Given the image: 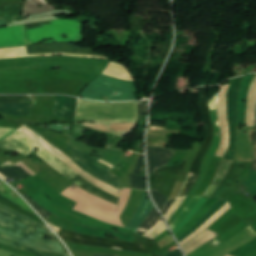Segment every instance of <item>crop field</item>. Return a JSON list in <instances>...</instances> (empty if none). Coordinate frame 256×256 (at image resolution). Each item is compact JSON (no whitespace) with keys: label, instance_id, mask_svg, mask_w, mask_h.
I'll list each match as a JSON object with an SVG mask.
<instances>
[{"label":"crop field","instance_id":"1","mask_svg":"<svg viewBox=\"0 0 256 256\" xmlns=\"http://www.w3.org/2000/svg\"><path fill=\"white\" fill-rule=\"evenodd\" d=\"M34 146H37L40 148V150L36 153L39 157H41L44 161L48 162L50 165H52L55 169H57L59 172H61L70 180L76 177L77 175H79L74 170H72L69 166L63 163L61 160L56 158L50 152H48L47 150L39 146L37 143L29 139L27 136H25L23 133H21L18 130L14 132L12 135H10L9 137L0 141V147L4 149L17 150L24 156L31 153ZM71 181H73L75 184H77L79 187L83 188L87 192L117 204L116 197L94 186L90 182L83 179L80 175Z\"/></svg>","mask_w":256,"mask_h":256},{"label":"crop field","instance_id":"2","mask_svg":"<svg viewBox=\"0 0 256 256\" xmlns=\"http://www.w3.org/2000/svg\"><path fill=\"white\" fill-rule=\"evenodd\" d=\"M130 190L123 189L121 191L119 206L93 196L74 184L63 192L62 195L78 202L74 208L75 210L107 223L124 227L119 217L125 208Z\"/></svg>","mask_w":256,"mask_h":256},{"label":"crop field","instance_id":"3","mask_svg":"<svg viewBox=\"0 0 256 256\" xmlns=\"http://www.w3.org/2000/svg\"><path fill=\"white\" fill-rule=\"evenodd\" d=\"M242 77L232 79L230 81V87L228 89L227 93V118L229 123V130H230V146L225 153L219 168L216 172L215 178L213 183L221 184L222 180L224 179L225 175L227 174L236 152V95L239 87V83L241 81ZM211 184V186L208 188V190L203 195L204 197L210 198V196L213 194L215 189L218 187L216 184Z\"/></svg>","mask_w":256,"mask_h":256},{"label":"crop field","instance_id":"4","mask_svg":"<svg viewBox=\"0 0 256 256\" xmlns=\"http://www.w3.org/2000/svg\"><path fill=\"white\" fill-rule=\"evenodd\" d=\"M137 104L98 103L79 99L76 118L137 120Z\"/></svg>","mask_w":256,"mask_h":256},{"label":"crop field","instance_id":"5","mask_svg":"<svg viewBox=\"0 0 256 256\" xmlns=\"http://www.w3.org/2000/svg\"><path fill=\"white\" fill-rule=\"evenodd\" d=\"M105 83L118 86L117 89L107 86ZM115 91L121 92L119 95L112 96L108 101H129L136 100L134 83L122 81L101 75L92 81L88 87L80 94L81 97L104 100L102 96L110 97Z\"/></svg>","mask_w":256,"mask_h":256},{"label":"crop field","instance_id":"6","mask_svg":"<svg viewBox=\"0 0 256 256\" xmlns=\"http://www.w3.org/2000/svg\"><path fill=\"white\" fill-rule=\"evenodd\" d=\"M61 33H67L68 39H63ZM26 34L30 44L51 38L56 40L45 41V43L77 41L82 34V23L76 20H54L51 21V25L43 26L40 29L28 30Z\"/></svg>","mask_w":256,"mask_h":256},{"label":"crop field","instance_id":"7","mask_svg":"<svg viewBox=\"0 0 256 256\" xmlns=\"http://www.w3.org/2000/svg\"><path fill=\"white\" fill-rule=\"evenodd\" d=\"M26 49H27L28 54L63 52V53L85 54V55H100V56L106 57V55H104V54L94 53L93 49H82V48L71 46L68 43L27 46ZM26 49H25V47L11 48V49H0V59L1 58H11V57H25V56H27ZM54 54L104 59V57H99V56H85V55L62 54V53L31 54L28 56H48V55H54Z\"/></svg>","mask_w":256,"mask_h":256},{"label":"crop field","instance_id":"8","mask_svg":"<svg viewBox=\"0 0 256 256\" xmlns=\"http://www.w3.org/2000/svg\"><path fill=\"white\" fill-rule=\"evenodd\" d=\"M255 237L256 232L249 226L227 242L223 243L216 237L187 256H224L249 243Z\"/></svg>","mask_w":256,"mask_h":256},{"label":"crop field","instance_id":"9","mask_svg":"<svg viewBox=\"0 0 256 256\" xmlns=\"http://www.w3.org/2000/svg\"><path fill=\"white\" fill-rule=\"evenodd\" d=\"M64 241L90 245L96 247H104V248H112V249H120V250H129V251H137V252H145L148 251L143 247L142 244L124 242L119 240L94 237L88 235H81L66 231L64 229L58 228L56 232Z\"/></svg>","mask_w":256,"mask_h":256},{"label":"crop field","instance_id":"10","mask_svg":"<svg viewBox=\"0 0 256 256\" xmlns=\"http://www.w3.org/2000/svg\"><path fill=\"white\" fill-rule=\"evenodd\" d=\"M204 94V97H201V95ZM200 105L202 107V111H203V115L205 118V121L207 123V133H206V140H205V144L202 147V149L199 151V153L196 155L191 170H190V174H192L191 180L183 194V196L188 195L189 191L191 190L192 186L194 185V183L196 182L198 176H199V169H200V165L203 159V156L205 154V152L207 151V149L209 148L212 139H213V125L210 119V114H209V108H208V102H207V88L206 87H201L200 88ZM188 176V179L182 189V191L180 192L179 196L182 195L189 179H190V175Z\"/></svg>","mask_w":256,"mask_h":256},{"label":"crop field","instance_id":"11","mask_svg":"<svg viewBox=\"0 0 256 256\" xmlns=\"http://www.w3.org/2000/svg\"><path fill=\"white\" fill-rule=\"evenodd\" d=\"M21 132H23L25 135H27L29 138L33 139L37 143H39L41 146H43L45 149L50 151L52 154L57 156L59 159H61L63 162H65L67 165H69L71 168H73L76 172H78L81 176L86 178L88 181L93 183L94 185L102 188L103 190L115 195L118 197L119 190L100 181L99 179L93 177L92 175L86 173L81 168H79L76 164H74L68 156H66L64 153H62L60 150L52 146L50 143H48L46 140H44L42 137H40L38 134H36L33 130L28 128L26 125L23 124L21 128H19Z\"/></svg>","mask_w":256,"mask_h":256},{"label":"crop field","instance_id":"12","mask_svg":"<svg viewBox=\"0 0 256 256\" xmlns=\"http://www.w3.org/2000/svg\"><path fill=\"white\" fill-rule=\"evenodd\" d=\"M67 147H68V149L75 152L70 158L74 159L77 163H79L88 172H90L91 174L101 178L102 180L120 188L121 179L109 173L114 166L108 164L107 162H105L101 159L99 160L95 157H92L83 152H80L68 145H67ZM98 160L112 168L106 166L105 164L99 162Z\"/></svg>","mask_w":256,"mask_h":256},{"label":"crop field","instance_id":"13","mask_svg":"<svg viewBox=\"0 0 256 256\" xmlns=\"http://www.w3.org/2000/svg\"><path fill=\"white\" fill-rule=\"evenodd\" d=\"M0 235L43 250L69 254L65 246L51 244L46 241L39 240L33 236H28L2 223H0Z\"/></svg>","mask_w":256,"mask_h":256},{"label":"crop field","instance_id":"14","mask_svg":"<svg viewBox=\"0 0 256 256\" xmlns=\"http://www.w3.org/2000/svg\"><path fill=\"white\" fill-rule=\"evenodd\" d=\"M0 222L4 223L6 225H9L15 229H18L22 232H25L27 234L34 235L41 239H43L45 235L56 238L55 242L50 241V240H46V241H49L52 243H57V244H62L57 239V237L55 235L37 227L36 225H34L26 220H23L13 214H10L2 209H0ZM43 240H45V239H43Z\"/></svg>","mask_w":256,"mask_h":256},{"label":"crop field","instance_id":"15","mask_svg":"<svg viewBox=\"0 0 256 256\" xmlns=\"http://www.w3.org/2000/svg\"><path fill=\"white\" fill-rule=\"evenodd\" d=\"M6 103H31L35 101L29 96H0V104ZM34 105L30 104H6L0 105V112L9 115H29Z\"/></svg>","mask_w":256,"mask_h":256},{"label":"crop field","instance_id":"16","mask_svg":"<svg viewBox=\"0 0 256 256\" xmlns=\"http://www.w3.org/2000/svg\"><path fill=\"white\" fill-rule=\"evenodd\" d=\"M228 85L221 86L222 91L219 97L218 117L221 123V133H222L221 145L216 155L219 157H223L224 153L226 152L229 146V132H228L227 119H226V91L228 89Z\"/></svg>","mask_w":256,"mask_h":256},{"label":"crop field","instance_id":"17","mask_svg":"<svg viewBox=\"0 0 256 256\" xmlns=\"http://www.w3.org/2000/svg\"><path fill=\"white\" fill-rule=\"evenodd\" d=\"M28 44L24 25L0 28V47Z\"/></svg>","mask_w":256,"mask_h":256},{"label":"crop field","instance_id":"18","mask_svg":"<svg viewBox=\"0 0 256 256\" xmlns=\"http://www.w3.org/2000/svg\"><path fill=\"white\" fill-rule=\"evenodd\" d=\"M254 76L255 74L245 76L240 84L237 96V127L241 122L243 124L242 127L245 125L247 95ZM242 100H246V102L243 103Z\"/></svg>","mask_w":256,"mask_h":256},{"label":"crop field","instance_id":"19","mask_svg":"<svg viewBox=\"0 0 256 256\" xmlns=\"http://www.w3.org/2000/svg\"><path fill=\"white\" fill-rule=\"evenodd\" d=\"M172 155L170 150L148 147L149 174H152L157 168L167 164Z\"/></svg>","mask_w":256,"mask_h":256},{"label":"crop field","instance_id":"20","mask_svg":"<svg viewBox=\"0 0 256 256\" xmlns=\"http://www.w3.org/2000/svg\"><path fill=\"white\" fill-rule=\"evenodd\" d=\"M76 98L57 96L54 116L74 120Z\"/></svg>","mask_w":256,"mask_h":256},{"label":"crop field","instance_id":"21","mask_svg":"<svg viewBox=\"0 0 256 256\" xmlns=\"http://www.w3.org/2000/svg\"><path fill=\"white\" fill-rule=\"evenodd\" d=\"M148 194L147 192L144 191L143 198L141 201V204L135 213L134 217L132 218L131 222L127 226V228L132 229L133 231L136 232L140 224L143 222V220L146 218V216L149 214V212L152 210L154 207L153 204L151 203L150 199H147ZM146 207L144 213L142 214V211ZM142 214V216H140Z\"/></svg>","mask_w":256,"mask_h":256},{"label":"crop field","instance_id":"22","mask_svg":"<svg viewBox=\"0 0 256 256\" xmlns=\"http://www.w3.org/2000/svg\"><path fill=\"white\" fill-rule=\"evenodd\" d=\"M75 232L82 233V234H88V235L101 236V237H105L104 234L108 233V234L115 235V237L121 238V240L133 242L132 234L113 233V232H109V231L84 227V226L76 224V223H75Z\"/></svg>","mask_w":256,"mask_h":256},{"label":"crop field","instance_id":"23","mask_svg":"<svg viewBox=\"0 0 256 256\" xmlns=\"http://www.w3.org/2000/svg\"><path fill=\"white\" fill-rule=\"evenodd\" d=\"M0 173L2 175H4L5 177H7V178L11 177L12 179L15 180V182H17V181H19V180H21L23 178H27V177L31 176L29 173H27L20 166L15 167L14 165H11V166H1L0 167ZM1 174H0V177L2 179L6 180L7 178L2 176Z\"/></svg>","mask_w":256,"mask_h":256},{"label":"crop field","instance_id":"24","mask_svg":"<svg viewBox=\"0 0 256 256\" xmlns=\"http://www.w3.org/2000/svg\"><path fill=\"white\" fill-rule=\"evenodd\" d=\"M103 74L127 81H134L132 74L129 73L124 66L112 62H110L108 68L103 72Z\"/></svg>","mask_w":256,"mask_h":256},{"label":"crop field","instance_id":"25","mask_svg":"<svg viewBox=\"0 0 256 256\" xmlns=\"http://www.w3.org/2000/svg\"><path fill=\"white\" fill-rule=\"evenodd\" d=\"M255 103H256V77L251 85L249 96H248L246 124L249 127L254 126Z\"/></svg>","mask_w":256,"mask_h":256},{"label":"crop field","instance_id":"26","mask_svg":"<svg viewBox=\"0 0 256 256\" xmlns=\"http://www.w3.org/2000/svg\"><path fill=\"white\" fill-rule=\"evenodd\" d=\"M227 201L219 199L218 202L210 209V211L199 220L191 229L182 234L177 240L180 243L187 236H189L192 232L198 229L204 222H206L214 213H216L223 205H225Z\"/></svg>","mask_w":256,"mask_h":256},{"label":"crop field","instance_id":"27","mask_svg":"<svg viewBox=\"0 0 256 256\" xmlns=\"http://www.w3.org/2000/svg\"><path fill=\"white\" fill-rule=\"evenodd\" d=\"M0 242L4 243V244H7V245H10V246H13V247H16V248H19V249H23V250H26V251H29V252L36 253V254H38V256H65V255H61V254H56V253L43 251V250H40V249H37V248H33V247H30V246L18 243V242H14V241L9 240L7 238H4L2 236H0Z\"/></svg>","mask_w":256,"mask_h":256},{"label":"crop field","instance_id":"28","mask_svg":"<svg viewBox=\"0 0 256 256\" xmlns=\"http://www.w3.org/2000/svg\"><path fill=\"white\" fill-rule=\"evenodd\" d=\"M0 195L21 205L22 208L34 213L28 205L7 185H5L2 181H0ZM35 214V213H34Z\"/></svg>","mask_w":256,"mask_h":256},{"label":"crop field","instance_id":"29","mask_svg":"<svg viewBox=\"0 0 256 256\" xmlns=\"http://www.w3.org/2000/svg\"><path fill=\"white\" fill-rule=\"evenodd\" d=\"M215 236H217L216 233L211 232L210 230H206L202 235H200L198 238H196L194 241H192L191 243H189L188 245L182 247L184 252L187 254H189L191 251H193L194 249H196L197 247L203 245L204 243H206L207 241L211 240L212 238H214Z\"/></svg>","mask_w":256,"mask_h":256},{"label":"crop field","instance_id":"30","mask_svg":"<svg viewBox=\"0 0 256 256\" xmlns=\"http://www.w3.org/2000/svg\"><path fill=\"white\" fill-rule=\"evenodd\" d=\"M229 202L223 206L216 214H214L205 224H203L198 230H196L194 233H192L189 237H187L183 242H181V246L199 235L201 232L206 230L215 220H217L225 211H227L230 208Z\"/></svg>","mask_w":256,"mask_h":256},{"label":"crop field","instance_id":"31","mask_svg":"<svg viewBox=\"0 0 256 256\" xmlns=\"http://www.w3.org/2000/svg\"><path fill=\"white\" fill-rule=\"evenodd\" d=\"M218 199H209L207 203L201 208V210L196 214V216L179 232L175 235L176 239L184 233L186 230L191 228L200 218H202L208 210L216 203Z\"/></svg>","mask_w":256,"mask_h":256},{"label":"crop field","instance_id":"32","mask_svg":"<svg viewBox=\"0 0 256 256\" xmlns=\"http://www.w3.org/2000/svg\"><path fill=\"white\" fill-rule=\"evenodd\" d=\"M160 219L161 217L158 215L154 207V209L151 211V213L148 215V217L145 219V221L142 223L136 233L144 235V233L152 226H154Z\"/></svg>","mask_w":256,"mask_h":256},{"label":"crop field","instance_id":"33","mask_svg":"<svg viewBox=\"0 0 256 256\" xmlns=\"http://www.w3.org/2000/svg\"><path fill=\"white\" fill-rule=\"evenodd\" d=\"M207 198L201 197L197 204L193 207V209L189 212L186 218L179 223L175 229L173 230L174 234L178 232L191 218L192 216L202 207V205L206 202Z\"/></svg>","mask_w":256,"mask_h":256},{"label":"crop field","instance_id":"34","mask_svg":"<svg viewBox=\"0 0 256 256\" xmlns=\"http://www.w3.org/2000/svg\"><path fill=\"white\" fill-rule=\"evenodd\" d=\"M129 178H130V188L146 190V181L144 177L139 175L129 174Z\"/></svg>","mask_w":256,"mask_h":256},{"label":"crop field","instance_id":"35","mask_svg":"<svg viewBox=\"0 0 256 256\" xmlns=\"http://www.w3.org/2000/svg\"><path fill=\"white\" fill-rule=\"evenodd\" d=\"M244 184L250 188L248 191L255 196L256 194V172L255 171L250 170Z\"/></svg>","mask_w":256,"mask_h":256},{"label":"crop field","instance_id":"36","mask_svg":"<svg viewBox=\"0 0 256 256\" xmlns=\"http://www.w3.org/2000/svg\"><path fill=\"white\" fill-rule=\"evenodd\" d=\"M167 228L164 225L162 219L149 231L145 233V236L153 237L155 238L157 235L161 234L163 231H165Z\"/></svg>","mask_w":256,"mask_h":256},{"label":"crop field","instance_id":"37","mask_svg":"<svg viewBox=\"0 0 256 256\" xmlns=\"http://www.w3.org/2000/svg\"><path fill=\"white\" fill-rule=\"evenodd\" d=\"M200 197L198 196H194V198L192 199V201L189 203V205L182 211L181 215L179 216V218L170 226L171 229L173 230L174 227L181 222L185 216L188 214V212L192 209V207L195 205V203L199 200Z\"/></svg>","mask_w":256,"mask_h":256},{"label":"crop field","instance_id":"38","mask_svg":"<svg viewBox=\"0 0 256 256\" xmlns=\"http://www.w3.org/2000/svg\"><path fill=\"white\" fill-rule=\"evenodd\" d=\"M186 197H179L175 200V202L173 203V205L171 206V208L169 209V211L166 213V215L164 216L166 221H168V219L171 217V215L175 212V210L182 204V202L184 201ZM173 216V215H172Z\"/></svg>","mask_w":256,"mask_h":256},{"label":"crop field","instance_id":"39","mask_svg":"<svg viewBox=\"0 0 256 256\" xmlns=\"http://www.w3.org/2000/svg\"><path fill=\"white\" fill-rule=\"evenodd\" d=\"M152 196L155 200V202L158 204L160 210L164 207L165 203H166V199L161 195V193L159 191L156 190H152Z\"/></svg>","mask_w":256,"mask_h":256},{"label":"crop field","instance_id":"40","mask_svg":"<svg viewBox=\"0 0 256 256\" xmlns=\"http://www.w3.org/2000/svg\"><path fill=\"white\" fill-rule=\"evenodd\" d=\"M30 204L35 208V210L45 219L47 216L50 215V213L46 212L43 208H41L36 202H34L32 199L28 197L27 194L23 195Z\"/></svg>","mask_w":256,"mask_h":256},{"label":"crop field","instance_id":"41","mask_svg":"<svg viewBox=\"0 0 256 256\" xmlns=\"http://www.w3.org/2000/svg\"><path fill=\"white\" fill-rule=\"evenodd\" d=\"M148 102L149 101H142L141 103L138 104L139 115H147Z\"/></svg>","mask_w":256,"mask_h":256},{"label":"crop field","instance_id":"42","mask_svg":"<svg viewBox=\"0 0 256 256\" xmlns=\"http://www.w3.org/2000/svg\"><path fill=\"white\" fill-rule=\"evenodd\" d=\"M0 207H2V208H4V209H6V210H8V211H10V212H12V213L18 215V216H21V217H23V218H25V219H27V220H29V221L35 223L37 226H39V227H41V228L47 230V228H46L45 226H43V225H41V224H39V223H37V222H35V221L29 219V218H26V217H24V216H22V215H20V214H18V213H16V212H14V211L8 209V208H6L5 206H3V205H1V204H0ZM47 231H48V230H47Z\"/></svg>","mask_w":256,"mask_h":256},{"label":"crop field","instance_id":"43","mask_svg":"<svg viewBox=\"0 0 256 256\" xmlns=\"http://www.w3.org/2000/svg\"><path fill=\"white\" fill-rule=\"evenodd\" d=\"M143 162H144V155H141L133 173H135V174H139L140 173V170L142 168Z\"/></svg>","mask_w":256,"mask_h":256},{"label":"crop field","instance_id":"44","mask_svg":"<svg viewBox=\"0 0 256 256\" xmlns=\"http://www.w3.org/2000/svg\"><path fill=\"white\" fill-rule=\"evenodd\" d=\"M175 199L169 200L168 203L166 204L165 208L163 209L162 213L163 215L167 212V210L170 208V206L172 205L173 201Z\"/></svg>","mask_w":256,"mask_h":256},{"label":"crop field","instance_id":"45","mask_svg":"<svg viewBox=\"0 0 256 256\" xmlns=\"http://www.w3.org/2000/svg\"><path fill=\"white\" fill-rule=\"evenodd\" d=\"M166 256H183V255H182L180 249H178V250H176V251H174V252H172V253H170Z\"/></svg>","mask_w":256,"mask_h":256},{"label":"crop field","instance_id":"46","mask_svg":"<svg viewBox=\"0 0 256 256\" xmlns=\"http://www.w3.org/2000/svg\"><path fill=\"white\" fill-rule=\"evenodd\" d=\"M256 133V131H255ZM252 170H256V143H255V157H254V161H253V165H252Z\"/></svg>","mask_w":256,"mask_h":256},{"label":"crop field","instance_id":"47","mask_svg":"<svg viewBox=\"0 0 256 256\" xmlns=\"http://www.w3.org/2000/svg\"><path fill=\"white\" fill-rule=\"evenodd\" d=\"M8 24L0 19V26H7Z\"/></svg>","mask_w":256,"mask_h":256},{"label":"crop field","instance_id":"48","mask_svg":"<svg viewBox=\"0 0 256 256\" xmlns=\"http://www.w3.org/2000/svg\"><path fill=\"white\" fill-rule=\"evenodd\" d=\"M94 256H109V255H99V254H94Z\"/></svg>","mask_w":256,"mask_h":256},{"label":"crop field","instance_id":"49","mask_svg":"<svg viewBox=\"0 0 256 256\" xmlns=\"http://www.w3.org/2000/svg\"><path fill=\"white\" fill-rule=\"evenodd\" d=\"M13 132H14V131H13ZM13 132H12V133H13ZM9 135H10V134H9ZM9 135H8V136H9ZM6 137H7V136H6ZM4 138H5V137H4Z\"/></svg>","mask_w":256,"mask_h":256},{"label":"crop field","instance_id":"50","mask_svg":"<svg viewBox=\"0 0 256 256\" xmlns=\"http://www.w3.org/2000/svg\"><path fill=\"white\" fill-rule=\"evenodd\" d=\"M227 256H229V255H227Z\"/></svg>","mask_w":256,"mask_h":256}]
</instances>
